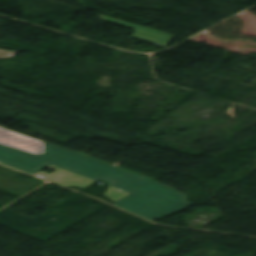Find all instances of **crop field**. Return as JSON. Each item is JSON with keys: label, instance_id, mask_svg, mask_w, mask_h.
<instances>
[{"label": "crop field", "instance_id": "4", "mask_svg": "<svg viewBox=\"0 0 256 256\" xmlns=\"http://www.w3.org/2000/svg\"><path fill=\"white\" fill-rule=\"evenodd\" d=\"M0 142L11 145V146H14V147H18V148H21V149H24V150H27V151H30V152L37 153L36 146H33V145H30V144L15 140V139H13L11 137H8V136H6L2 133H0Z\"/></svg>", "mask_w": 256, "mask_h": 256}, {"label": "crop field", "instance_id": "8", "mask_svg": "<svg viewBox=\"0 0 256 256\" xmlns=\"http://www.w3.org/2000/svg\"><path fill=\"white\" fill-rule=\"evenodd\" d=\"M44 142L39 143L38 147H37V151L38 153L41 155L42 151H43V147H44Z\"/></svg>", "mask_w": 256, "mask_h": 256}, {"label": "crop field", "instance_id": "7", "mask_svg": "<svg viewBox=\"0 0 256 256\" xmlns=\"http://www.w3.org/2000/svg\"><path fill=\"white\" fill-rule=\"evenodd\" d=\"M16 52L14 51H8V50H2L0 49V58H9L13 57Z\"/></svg>", "mask_w": 256, "mask_h": 256}, {"label": "crop field", "instance_id": "5", "mask_svg": "<svg viewBox=\"0 0 256 256\" xmlns=\"http://www.w3.org/2000/svg\"><path fill=\"white\" fill-rule=\"evenodd\" d=\"M0 132L6 134L8 136H11L15 139H18V140H21V141H24V142H27V143H30V144H33V145H36V146L40 142V141H37L35 139L29 138L27 136L21 135L19 133L13 132L11 130L5 129L3 127H0Z\"/></svg>", "mask_w": 256, "mask_h": 256}, {"label": "crop field", "instance_id": "1", "mask_svg": "<svg viewBox=\"0 0 256 256\" xmlns=\"http://www.w3.org/2000/svg\"><path fill=\"white\" fill-rule=\"evenodd\" d=\"M0 162L32 174L51 164L96 181H108L131 193L113 205L149 220L170 216L192 205L185 195L149 178L47 143L42 156L0 143Z\"/></svg>", "mask_w": 256, "mask_h": 256}, {"label": "crop field", "instance_id": "3", "mask_svg": "<svg viewBox=\"0 0 256 256\" xmlns=\"http://www.w3.org/2000/svg\"><path fill=\"white\" fill-rule=\"evenodd\" d=\"M99 17L105 21L108 22H112L115 24H119V25H123L126 27H130V28H134L136 29L134 34H133V38L142 40V41H150V42H154L157 45L166 48L167 45L170 43V41L173 39L174 35H170V34H166L163 32H159L156 30H152V29H148L145 27H141L138 25H134V24H130L127 22H123V21H119L116 19H112L109 17H105V16H101L99 15Z\"/></svg>", "mask_w": 256, "mask_h": 256}, {"label": "crop field", "instance_id": "6", "mask_svg": "<svg viewBox=\"0 0 256 256\" xmlns=\"http://www.w3.org/2000/svg\"><path fill=\"white\" fill-rule=\"evenodd\" d=\"M128 194L129 193L127 192L109 186L107 192L104 195H106L108 198L115 202Z\"/></svg>", "mask_w": 256, "mask_h": 256}, {"label": "crop field", "instance_id": "2", "mask_svg": "<svg viewBox=\"0 0 256 256\" xmlns=\"http://www.w3.org/2000/svg\"><path fill=\"white\" fill-rule=\"evenodd\" d=\"M47 168H50L55 172L48 174L43 171H39L34 175H37L39 177L45 178L47 180L53 181L66 187L73 186L81 189H84L92 185L94 182L93 180L87 179L85 177L74 174L70 171L57 168L51 165H49Z\"/></svg>", "mask_w": 256, "mask_h": 256}]
</instances>
